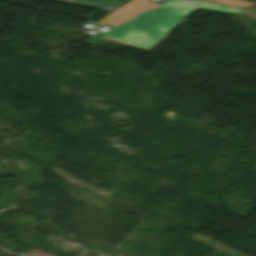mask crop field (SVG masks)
Wrapping results in <instances>:
<instances>
[{
	"label": "crop field",
	"mask_w": 256,
	"mask_h": 256,
	"mask_svg": "<svg viewBox=\"0 0 256 256\" xmlns=\"http://www.w3.org/2000/svg\"><path fill=\"white\" fill-rule=\"evenodd\" d=\"M123 22H125V21L111 13L95 24L98 25L99 27L107 25L112 28V27L119 25Z\"/></svg>",
	"instance_id": "crop-field-6"
},
{
	"label": "crop field",
	"mask_w": 256,
	"mask_h": 256,
	"mask_svg": "<svg viewBox=\"0 0 256 256\" xmlns=\"http://www.w3.org/2000/svg\"><path fill=\"white\" fill-rule=\"evenodd\" d=\"M158 6L160 5L151 0H132L112 13L127 21L142 11L157 8Z\"/></svg>",
	"instance_id": "crop-field-2"
},
{
	"label": "crop field",
	"mask_w": 256,
	"mask_h": 256,
	"mask_svg": "<svg viewBox=\"0 0 256 256\" xmlns=\"http://www.w3.org/2000/svg\"><path fill=\"white\" fill-rule=\"evenodd\" d=\"M87 7L95 10L112 12L130 0H53Z\"/></svg>",
	"instance_id": "crop-field-3"
},
{
	"label": "crop field",
	"mask_w": 256,
	"mask_h": 256,
	"mask_svg": "<svg viewBox=\"0 0 256 256\" xmlns=\"http://www.w3.org/2000/svg\"><path fill=\"white\" fill-rule=\"evenodd\" d=\"M254 3L256 4V1Z\"/></svg>",
	"instance_id": "crop-field-8"
},
{
	"label": "crop field",
	"mask_w": 256,
	"mask_h": 256,
	"mask_svg": "<svg viewBox=\"0 0 256 256\" xmlns=\"http://www.w3.org/2000/svg\"><path fill=\"white\" fill-rule=\"evenodd\" d=\"M14 1H16V0H14Z\"/></svg>",
	"instance_id": "crop-field-9"
},
{
	"label": "crop field",
	"mask_w": 256,
	"mask_h": 256,
	"mask_svg": "<svg viewBox=\"0 0 256 256\" xmlns=\"http://www.w3.org/2000/svg\"><path fill=\"white\" fill-rule=\"evenodd\" d=\"M208 1H215L223 5H231V6H239V7H248L253 5L252 2H248L245 0H208Z\"/></svg>",
	"instance_id": "crop-field-7"
},
{
	"label": "crop field",
	"mask_w": 256,
	"mask_h": 256,
	"mask_svg": "<svg viewBox=\"0 0 256 256\" xmlns=\"http://www.w3.org/2000/svg\"><path fill=\"white\" fill-rule=\"evenodd\" d=\"M236 17L256 39V7L254 5L251 6L236 15Z\"/></svg>",
	"instance_id": "crop-field-5"
},
{
	"label": "crop field",
	"mask_w": 256,
	"mask_h": 256,
	"mask_svg": "<svg viewBox=\"0 0 256 256\" xmlns=\"http://www.w3.org/2000/svg\"><path fill=\"white\" fill-rule=\"evenodd\" d=\"M198 9L236 15L243 9L192 0H167L159 10L146 12L118 31L158 44Z\"/></svg>",
	"instance_id": "crop-field-1"
},
{
	"label": "crop field",
	"mask_w": 256,
	"mask_h": 256,
	"mask_svg": "<svg viewBox=\"0 0 256 256\" xmlns=\"http://www.w3.org/2000/svg\"><path fill=\"white\" fill-rule=\"evenodd\" d=\"M104 37L109 40L132 45L135 48H138L147 52H149L152 48L156 46V44L135 38L133 36H130L115 30L104 34Z\"/></svg>",
	"instance_id": "crop-field-4"
}]
</instances>
